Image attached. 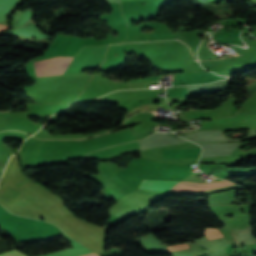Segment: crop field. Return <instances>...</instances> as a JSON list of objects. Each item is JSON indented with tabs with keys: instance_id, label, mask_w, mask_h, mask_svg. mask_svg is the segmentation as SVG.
Returning a JSON list of instances; mask_svg holds the SVG:
<instances>
[{
	"instance_id": "crop-field-1",
	"label": "crop field",
	"mask_w": 256,
	"mask_h": 256,
	"mask_svg": "<svg viewBox=\"0 0 256 256\" xmlns=\"http://www.w3.org/2000/svg\"><path fill=\"white\" fill-rule=\"evenodd\" d=\"M72 58L35 62L37 77L63 74Z\"/></svg>"
},
{
	"instance_id": "crop-field-2",
	"label": "crop field",
	"mask_w": 256,
	"mask_h": 256,
	"mask_svg": "<svg viewBox=\"0 0 256 256\" xmlns=\"http://www.w3.org/2000/svg\"><path fill=\"white\" fill-rule=\"evenodd\" d=\"M43 140H37L29 137L22 145L21 159L24 167L36 166V154Z\"/></svg>"
},
{
	"instance_id": "crop-field-3",
	"label": "crop field",
	"mask_w": 256,
	"mask_h": 256,
	"mask_svg": "<svg viewBox=\"0 0 256 256\" xmlns=\"http://www.w3.org/2000/svg\"><path fill=\"white\" fill-rule=\"evenodd\" d=\"M62 235L72 243L73 248L63 250V251H58V252H53L47 256H82L88 253H92L88 248L85 246L75 242L72 240L70 237H68L66 234L62 233Z\"/></svg>"
},
{
	"instance_id": "crop-field-4",
	"label": "crop field",
	"mask_w": 256,
	"mask_h": 256,
	"mask_svg": "<svg viewBox=\"0 0 256 256\" xmlns=\"http://www.w3.org/2000/svg\"><path fill=\"white\" fill-rule=\"evenodd\" d=\"M177 183L179 182L143 180L139 188L154 191H169Z\"/></svg>"
},
{
	"instance_id": "crop-field-5",
	"label": "crop field",
	"mask_w": 256,
	"mask_h": 256,
	"mask_svg": "<svg viewBox=\"0 0 256 256\" xmlns=\"http://www.w3.org/2000/svg\"><path fill=\"white\" fill-rule=\"evenodd\" d=\"M206 232L204 234L208 238V240L223 237V235L220 233V231L217 228H210L205 229Z\"/></svg>"
},
{
	"instance_id": "crop-field-6",
	"label": "crop field",
	"mask_w": 256,
	"mask_h": 256,
	"mask_svg": "<svg viewBox=\"0 0 256 256\" xmlns=\"http://www.w3.org/2000/svg\"><path fill=\"white\" fill-rule=\"evenodd\" d=\"M0 256H27L17 250H10L4 253H1Z\"/></svg>"
},
{
	"instance_id": "crop-field-7",
	"label": "crop field",
	"mask_w": 256,
	"mask_h": 256,
	"mask_svg": "<svg viewBox=\"0 0 256 256\" xmlns=\"http://www.w3.org/2000/svg\"><path fill=\"white\" fill-rule=\"evenodd\" d=\"M186 248H189L187 244L176 245V246L168 247V249H169L170 251L180 250V249H186Z\"/></svg>"
},
{
	"instance_id": "crop-field-8",
	"label": "crop field",
	"mask_w": 256,
	"mask_h": 256,
	"mask_svg": "<svg viewBox=\"0 0 256 256\" xmlns=\"http://www.w3.org/2000/svg\"><path fill=\"white\" fill-rule=\"evenodd\" d=\"M121 1H125V0H121Z\"/></svg>"
}]
</instances>
